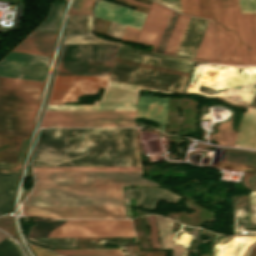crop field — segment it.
I'll return each mask as SVG.
<instances>
[{
  "label": "crop field",
  "mask_w": 256,
  "mask_h": 256,
  "mask_svg": "<svg viewBox=\"0 0 256 256\" xmlns=\"http://www.w3.org/2000/svg\"><path fill=\"white\" fill-rule=\"evenodd\" d=\"M142 172L34 173L22 207L123 206V186H159Z\"/></svg>",
  "instance_id": "obj_1"
},
{
  "label": "crop field",
  "mask_w": 256,
  "mask_h": 256,
  "mask_svg": "<svg viewBox=\"0 0 256 256\" xmlns=\"http://www.w3.org/2000/svg\"><path fill=\"white\" fill-rule=\"evenodd\" d=\"M210 3L222 63L256 65V14L241 15L238 0Z\"/></svg>",
  "instance_id": "obj_2"
},
{
  "label": "crop field",
  "mask_w": 256,
  "mask_h": 256,
  "mask_svg": "<svg viewBox=\"0 0 256 256\" xmlns=\"http://www.w3.org/2000/svg\"><path fill=\"white\" fill-rule=\"evenodd\" d=\"M42 84L0 77V134L29 138Z\"/></svg>",
  "instance_id": "obj_3"
},
{
  "label": "crop field",
  "mask_w": 256,
  "mask_h": 256,
  "mask_svg": "<svg viewBox=\"0 0 256 256\" xmlns=\"http://www.w3.org/2000/svg\"><path fill=\"white\" fill-rule=\"evenodd\" d=\"M137 155L136 141L37 142L34 156Z\"/></svg>",
  "instance_id": "obj_4"
},
{
  "label": "crop field",
  "mask_w": 256,
  "mask_h": 256,
  "mask_svg": "<svg viewBox=\"0 0 256 256\" xmlns=\"http://www.w3.org/2000/svg\"><path fill=\"white\" fill-rule=\"evenodd\" d=\"M135 111L46 112L41 127L135 126Z\"/></svg>",
  "instance_id": "obj_5"
},
{
  "label": "crop field",
  "mask_w": 256,
  "mask_h": 256,
  "mask_svg": "<svg viewBox=\"0 0 256 256\" xmlns=\"http://www.w3.org/2000/svg\"><path fill=\"white\" fill-rule=\"evenodd\" d=\"M186 78L115 61L109 79L180 94Z\"/></svg>",
  "instance_id": "obj_6"
},
{
  "label": "crop field",
  "mask_w": 256,
  "mask_h": 256,
  "mask_svg": "<svg viewBox=\"0 0 256 256\" xmlns=\"http://www.w3.org/2000/svg\"><path fill=\"white\" fill-rule=\"evenodd\" d=\"M49 237H135L130 220L66 221Z\"/></svg>",
  "instance_id": "obj_7"
},
{
  "label": "crop field",
  "mask_w": 256,
  "mask_h": 256,
  "mask_svg": "<svg viewBox=\"0 0 256 256\" xmlns=\"http://www.w3.org/2000/svg\"><path fill=\"white\" fill-rule=\"evenodd\" d=\"M135 140L134 128L40 129L37 141Z\"/></svg>",
  "instance_id": "obj_8"
},
{
  "label": "crop field",
  "mask_w": 256,
  "mask_h": 256,
  "mask_svg": "<svg viewBox=\"0 0 256 256\" xmlns=\"http://www.w3.org/2000/svg\"><path fill=\"white\" fill-rule=\"evenodd\" d=\"M108 76H56L48 104L77 102V96L96 94Z\"/></svg>",
  "instance_id": "obj_9"
},
{
  "label": "crop field",
  "mask_w": 256,
  "mask_h": 256,
  "mask_svg": "<svg viewBox=\"0 0 256 256\" xmlns=\"http://www.w3.org/2000/svg\"><path fill=\"white\" fill-rule=\"evenodd\" d=\"M24 215L49 219L124 218L123 207L22 208Z\"/></svg>",
  "instance_id": "obj_10"
},
{
  "label": "crop field",
  "mask_w": 256,
  "mask_h": 256,
  "mask_svg": "<svg viewBox=\"0 0 256 256\" xmlns=\"http://www.w3.org/2000/svg\"><path fill=\"white\" fill-rule=\"evenodd\" d=\"M33 167L140 166L137 156L34 157Z\"/></svg>",
  "instance_id": "obj_11"
},
{
  "label": "crop field",
  "mask_w": 256,
  "mask_h": 256,
  "mask_svg": "<svg viewBox=\"0 0 256 256\" xmlns=\"http://www.w3.org/2000/svg\"><path fill=\"white\" fill-rule=\"evenodd\" d=\"M171 12L153 2L136 43L152 46L155 51Z\"/></svg>",
  "instance_id": "obj_12"
},
{
  "label": "crop field",
  "mask_w": 256,
  "mask_h": 256,
  "mask_svg": "<svg viewBox=\"0 0 256 256\" xmlns=\"http://www.w3.org/2000/svg\"><path fill=\"white\" fill-rule=\"evenodd\" d=\"M116 56L173 69L190 71L193 61L161 55L119 44Z\"/></svg>",
  "instance_id": "obj_13"
},
{
  "label": "crop field",
  "mask_w": 256,
  "mask_h": 256,
  "mask_svg": "<svg viewBox=\"0 0 256 256\" xmlns=\"http://www.w3.org/2000/svg\"><path fill=\"white\" fill-rule=\"evenodd\" d=\"M145 13L99 1L94 17L106 19L131 28L140 29Z\"/></svg>",
  "instance_id": "obj_14"
},
{
  "label": "crop field",
  "mask_w": 256,
  "mask_h": 256,
  "mask_svg": "<svg viewBox=\"0 0 256 256\" xmlns=\"http://www.w3.org/2000/svg\"><path fill=\"white\" fill-rule=\"evenodd\" d=\"M47 66L45 64L2 59L0 61V76L43 82Z\"/></svg>",
  "instance_id": "obj_15"
},
{
  "label": "crop field",
  "mask_w": 256,
  "mask_h": 256,
  "mask_svg": "<svg viewBox=\"0 0 256 256\" xmlns=\"http://www.w3.org/2000/svg\"><path fill=\"white\" fill-rule=\"evenodd\" d=\"M168 98H157L139 95L136 118H146L158 123V128L137 123L138 126H147L164 132Z\"/></svg>",
  "instance_id": "obj_16"
},
{
  "label": "crop field",
  "mask_w": 256,
  "mask_h": 256,
  "mask_svg": "<svg viewBox=\"0 0 256 256\" xmlns=\"http://www.w3.org/2000/svg\"><path fill=\"white\" fill-rule=\"evenodd\" d=\"M209 21L191 17L175 56L193 60Z\"/></svg>",
  "instance_id": "obj_17"
},
{
  "label": "crop field",
  "mask_w": 256,
  "mask_h": 256,
  "mask_svg": "<svg viewBox=\"0 0 256 256\" xmlns=\"http://www.w3.org/2000/svg\"><path fill=\"white\" fill-rule=\"evenodd\" d=\"M139 89L168 93L108 80L103 92L101 102H94V104L136 103Z\"/></svg>",
  "instance_id": "obj_18"
},
{
  "label": "crop field",
  "mask_w": 256,
  "mask_h": 256,
  "mask_svg": "<svg viewBox=\"0 0 256 256\" xmlns=\"http://www.w3.org/2000/svg\"><path fill=\"white\" fill-rule=\"evenodd\" d=\"M125 198H135L136 206L155 208L160 200L176 203L179 196L158 188H131L124 192Z\"/></svg>",
  "instance_id": "obj_19"
},
{
  "label": "crop field",
  "mask_w": 256,
  "mask_h": 256,
  "mask_svg": "<svg viewBox=\"0 0 256 256\" xmlns=\"http://www.w3.org/2000/svg\"><path fill=\"white\" fill-rule=\"evenodd\" d=\"M56 35L33 32L13 51L51 56Z\"/></svg>",
  "instance_id": "obj_20"
},
{
  "label": "crop field",
  "mask_w": 256,
  "mask_h": 256,
  "mask_svg": "<svg viewBox=\"0 0 256 256\" xmlns=\"http://www.w3.org/2000/svg\"><path fill=\"white\" fill-rule=\"evenodd\" d=\"M235 147L256 149V109L243 113Z\"/></svg>",
  "instance_id": "obj_21"
},
{
  "label": "crop field",
  "mask_w": 256,
  "mask_h": 256,
  "mask_svg": "<svg viewBox=\"0 0 256 256\" xmlns=\"http://www.w3.org/2000/svg\"><path fill=\"white\" fill-rule=\"evenodd\" d=\"M194 60L220 64L212 22L210 21Z\"/></svg>",
  "instance_id": "obj_22"
},
{
  "label": "crop field",
  "mask_w": 256,
  "mask_h": 256,
  "mask_svg": "<svg viewBox=\"0 0 256 256\" xmlns=\"http://www.w3.org/2000/svg\"><path fill=\"white\" fill-rule=\"evenodd\" d=\"M157 226L160 233V240L163 249L174 248L173 256H186L187 251L181 246L171 245L172 221L156 216Z\"/></svg>",
  "instance_id": "obj_23"
},
{
  "label": "crop field",
  "mask_w": 256,
  "mask_h": 256,
  "mask_svg": "<svg viewBox=\"0 0 256 256\" xmlns=\"http://www.w3.org/2000/svg\"><path fill=\"white\" fill-rule=\"evenodd\" d=\"M136 104L48 106L46 111L135 110Z\"/></svg>",
  "instance_id": "obj_24"
},
{
  "label": "crop field",
  "mask_w": 256,
  "mask_h": 256,
  "mask_svg": "<svg viewBox=\"0 0 256 256\" xmlns=\"http://www.w3.org/2000/svg\"><path fill=\"white\" fill-rule=\"evenodd\" d=\"M17 177L0 175V214L10 209Z\"/></svg>",
  "instance_id": "obj_25"
},
{
  "label": "crop field",
  "mask_w": 256,
  "mask_h": 256,
  "mask_svg": "<svg viewBox=\"0 0 256 256\" xmlns=\"http://www.w3.org/2000/svg\"><path fill=\"white\" fill-rule=\"evenodd\" d=\"M185 14L212 19L209 0H180Z\"/></svg>",
  "instance_id": "obj_26"
},
{
  "label": "crop field",
  "mask_w": 256,
  "mask_h": 256,
  "mask_svg": "<svg viewBox=\"0 0 256 256\" xmlns=\"http://www.w3.org/2000/svg\"><path fill=\"white\" fill-rule=\"evenodd\" d=\"M65 3H53L48 18L34 31L57 34Z\"/></svg>",
  "instance_id": "obj_27"
},
{
  "label": "crop field",
  "mask_w": 256,
  "mask_h": 256,
  "mask_svg": "<svg viewBox=\"0 0 256 256\" xmlns=\"http://www.w3.org/2000/svg\"><path fill=\"white\" fill-rule=\"evenodd\" d=\"M91 16L70 14L65 34H90Z\"/></svg>",
  "instance_id": "obj_28"
},
{
  "label": "crop field",
  "mask_w": 256,
  "mask_h": 256,
  "mask_svg": "<svg viewBox=\"0 0 256 256\" xmlns=\"http://www.w3.org/2000/svg\"><path fill=\"white\" fill-rule=\"evenodd\" d=\"M189 18L190 17L188 16H182V15L179 16L176 26L174 28V31L172 33V36L164 52L165 54H169L173 56L175 55Z\"/></svg>",
  "instance_id": "obj_29"
},
{
  "label": "crop field",
  "mask_w": 256,
  "mask_h": 256,
  "mask_svg": "<svg viewBox=\"0 0 256 256\" xmlns=\"http://www.w3.org/2000/svg\"><path fill=\"white\" fill-rule=\"evenodd\" d=\"M28 141H29V139L23 138L17 163H2V162H0V168L20 169L22 166L24 157H25ZM14 169H0V172H2V173H19L20 170H14Z\"/></svg>",
  "instance_id": "obj_30"
},
{
  "label": "crop field",
  "mask_w": 256,
  "mask_h": 256,
  "mask_svg": "<svg viewBox=\"0 0 256 256\" xmlns=\"http://www.w3.org/2000/svg\"><path fill=\"white\" fill-rule=\"evenodd\" d=\"M76 238H52V239H30L42 246L49 247H74Z\"/></svg>",
  "instance_id": "obj_31"
},
{
  "label": "crop field",
  "mask_w": 256,
  "mask_h": 256,
  "mask_svg": "<svg viewBox=\"0 0 256 256\" xmlns=\"http://www.w3.org/2000/svg\"><path fill=\"white\" fill-rule=\"evenodd\" d=\"M0 256H23L18 245L9 236L0 242Z\"/></svg>",
  "instance_id": "obj_32"
},
{
  "label": "crop field",
  "mask_w": 256,
  "mask_h": 256,
  "mask_svg": "<svg viewBox=\"0 0 256 256\" xmlns=\"http://www.w3.org/2000/svg\"><path fill=\"white\" fill-rule=\"evenodd\" d=\"M96 0H73L70 13L91 15Z\"/></svg>",
  "instance_id": "obj_33"
},
{
  "label": "crop field",
  "mask_w": 256,
  "mask_h": 256,
  "mask_svg": "<svg viewBox=\"0 0 256 256\" xmlns=\"http://www.w3.org/2000/svg\"><path fill=\"white\" fill-rule=\"evenodd\" d=\"M5 58L6 59H14V60H22V61H29V62H37V63L48 64L50 57L11 52Z\"/></svg>",
  "instance_id": "obj_34"
},
{
  "label": "crop field",
  "mask_w": 256,
  "mask_h": 256,
  "mask_svg": "<svg viewBox=\"0 0 256 256\" xmlns=\"http://www.w3.org/2000/svg\"><path fill=\"white\" fill-rule=\"evenodd\" d=\"M75 43H114L93 36H66L64 44Z\"/></svg>",
  "instance_id": "obj_35"
},
{
  "label": "crop field",
  "mask_w": 256,
  "mask_h": 256,
  "mask_svg": "<svg viewBox=\"0 0 256 256\" xmlns=\"http://www.w3.org/2000/svg\"><path fill=\"white\" fill-rule=\"evenodd\" d=\"M60 254L122 253L120 249L54 250Z\"/></svg>",
  "instance_id": "obj_36"
},
{
  "label": "crop field",
  "mask_w": 256,
  "mask_h": 256,
  "mask_svg": "<svg viewBox=\"0 0 256 256\" xmlns=\"http://www.w3.org/2000/svg\"><path fill=\"white\" fill-rule=\"evenodd\" d=\"M125 28H126L125 26L118 25L111 22L106 35L120 39Z\"/></svg>",
  "instance_id": "obj_37"
},
{
  "label": "crop field",
  "mask_w": 256,
  "mask_h": 256,
  "mask_svg": "<svg viewBox=\"0 0 256 256\" xmlns=\"http://www.w3.org/2000/svg\"><path fill=\"white\" fill-rule=\"evenodd\" d=\"M242 13L256 12V0H239Z\"/></svg>",
  "instance_id": "obj_38"
},
{
  "label": "crop field",
  "mask_w": 256,
  "mask_h": 256,
  "mask_svg": "<svg viewBox=\"0 0 256 256\" xmlns=\"http://www.w3.org/2000/svg\"><path fill=\"white\" fill-rule=\"evenodd\" d=\"M156 1L182 13L179 0H156Z\"/></svg>",
  "instance_id": "obj_39"
},
{
  "label": "crop field",
  "mask_w": 256,
  "mask_h": 256,
  "mask_svg": "<svg viewBox=\"0 0 256 256\" xmlns=\"http://www.w3.org/2000/svg\"><path fill=\"white\" fill-rule=\"evenodd\" d=\"M31 248L34 250L37 256H58L50 251L44 250L40 247L32 246L30 245Z\"/></svg>",
  "instance_id": "obj_40"
},
{
  "label": "crop field",
  "mask_w": 256,
  "mask_h": 256,
  "mask_svg": "<svg viewBox=\"0 0 256 256\" xmlns=\"http://www.w3.org/2000/svg\"><path fill=\"white\" fill-rule=\"evenodd\" d=\"M65 256H124L123 254H92V255H65Z\"/></svg>",
  "instance_id": "obj_41"
},
{
  "label": "crop field",
  "mask_w": 256,
  "mask_h": 256,
  "mask_svg": "<svg viewBox=\"0 0 256 256\" xmlns=\"http://www.w3.org/2000/svg\"><path fill=\"white\" fill-rule=\"evenodd\" d=\"M126 1H129V2H132V3H135V4H138V5H141V6H144V7L149 8V5H146V4H143V3H140V2L135 1V0H126Z\"/></svg>",
  "instance_id": "obj_42"
},
{
  "label": "crop field",
  "mask_w": 256,
  "mask_h": 256,
  "mask_svg": "<svg viewBox=\"0 0 256 256\" xmlns=\"http://www.w3.org/2000/svg\"><path fill=\"white\" fill-rule=\"evenodd\" d=\"M6 236H7V235H5V234H3V233L0 232V241H1L2 239H4Z\"/></svg>",
  "instance_id": "obj_43"
}]
</instances>
